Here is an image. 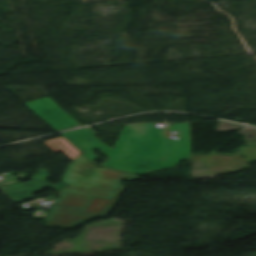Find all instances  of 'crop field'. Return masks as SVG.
Here are the masks:
<instances>
[{
    "label": "crop field",
    "mask_w": 256,
    "mask_h": 256,
    "mask_svg": "<svg viewBox=\"0 0 256 256\" xmlns=\"http://www.w3.org/2000/svg\"><path fill=\"white\" fill-rule=\"evenodd\" d=\"M44 144H46L55 153L63 151L74 159L81 154L77 148L63 137L44 142Z\"/></svg>",
    "instance_id": "crop-field-5"
},
{
    "label": "crop field",
    "mask_w": 256,
    "mask_h": 256,
    "mask_svg": "<svg viewBox=\"0 0 256 256\" xmlns=\"http://www.w3.org/2000/svg\"><path fill=\"white\" fill-rule=\"evenodd\" d=\"M175 131H181L180 140H167L164 128H156L155 124L125 125L113 149L93 137L96 132L91 128L61 135L79 150H86L84 155L90 161L97 158L91 150L98 148L110 157L102 166L144 175L177 167L181 159L191 158L189 122L169 127V132ZM168 142L172 145H167ZM165 152L168 162L160 164Z\"/></svg>",
    "instance_id": "crop-field-1"
},
{
    "label": "crop field",
    "mask_w": 256,
    "mask_h": 256,
    "mask_svg": "<svg viewBox=\"0 0 256 256\" xmlns=\"http://www.w3.org/2000/svg\"><path fill=\"white\" fill-rule=\"evenodd\" d=\"M24 104L57 131L80 125L49 97Z\"/></svg>",
    "instance_id": "crop-field-3"
},
{
    "label": "crop field",
    "mask_w": 256,
    "mask_h": 256,
    "mask_svg": "<svg viewBox=\"0 0 256 256\" xmlns=\"http://www.w3.org/2000/svg\"><path fill=\"white\" fill-rule=\"evenodd\" d=\"M124 179L133 181L141 177L98 168L81 154L68 166L62 179L72 186L62 190V196L47 214L45 225L74 229L88 220L106 218L126 186L121 183Z\"/></svg>",
    "instance_id": "crop-field-2"
},
{
    "label": "crop field",
    "mask_w": 256,
    "mask_h": 256,
    "mask_svg": "<svg viewBox=\"0 0 256 256\" xmlns=\"http://www.w3.org/2000/svg\"><path fill=\"white\" fill-rule=\"evenodd\" d=\"M48 178H50L48 172L46 170L42 169L38 174H36L34 177H32V180H34V181L7 187V188H3L2 190L6 194H8L14 201L19 202V201L33 198L32 193L42 191V188L45 186H48L57 191L70 186L69 184H66L63 182H60L56 185L47 183L45 181ZM26 184H29V185L24 186ZM20 192H23V194L11 196V194L20 193Z\"/></svg>",
    "instance_id": "crop-field-4"
}]
</instances>
